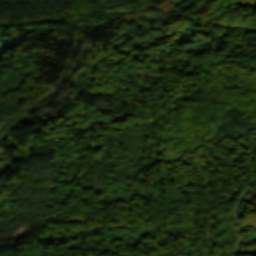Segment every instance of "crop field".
<instances>
[{"label": "crop field", "mask_w": 256, "mask_h": 256, "mask_svg": "<svg viewBox=\"0 0 256 256\" xmlns=\"http://www.w3.org/2000/svg\"><path fill=\"white\" fill-rule=\"evenodd\" d=\"M184 1H186V0H176V2L174 3V4H176V3H182V2H184Z\"/></svg>", "instance_id": "obj_1"}]
</instances>
